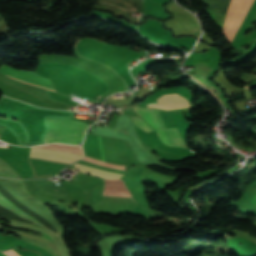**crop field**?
<instances>
[{"label": "crop field", "instance_id": "obj_7", "mask_svg": "<svg viewBox=\"0 0 256 256\" xmlns=\"http://www.w3.org/2000/svg\"><path fill=\"white\" fill-rule=\"evenodd\" d=\"M94 142H95V147L97 152V159L104 161V154L102 151L100 137L94 135ZM94 142H93V135L90 133H87L84 141V154L86 156L96 158Z\"/></svg>", "mask_w": 256, "mask_h": 256}, {"label": "crop field", "instance_id": "obj_9", "mask_svg": "<svg viewBox=\"0 0 256 256\" xmlns=\"http://www.w3.org/2000/svg\"><path fill=\"white\" fill-rule=\"evenodd\" d=\"M105 180L104 191L129 192L121 180ZM103 196L131 198L130 194L103 193Z\"/></svg>", "mask_w": 256, "mask_h": 256}, {"label": "crop field", "instance_id": "obj_12", "mask_svg": "<svg viewBox=\"0 0 256 256\" xmlns=\"http://www.w3.org/2000/svg\"><path fill=\"white\" fill-rule=\"evenodd\" d=\"M249 202H251V203L256 205V195Z\"/></svg>", "mask_w": 256, "mask_h": 256}, {"label": "crop field", "instance_id": "obj_2", "mask_svg": "<svg viewBox=\"0 0 256 256\" xmlns=\"http://www.w3.org/2000/svg\"><path fill=\"white\" fill-rule=\"evenodd\" d=\"M68 120V119H65ZM50 130L46 135L45 143L62 142L79 144L82 142L83 134L89 125L82 122L48 120Z\"/></svg>", "mask_w": 256, "mask_h": 256}, {"label": "crop field", "instance_id": "obj_1", "mask_svg": "<svg viewBox=\"0 0 256 256\" xmlns=\"http://www.w3.org/2000/svg\"><path fill=\"white\" fill-rule=\"evenodd\" d=\"M37 147L63 151L68 153H78L83 155L81 147H78V146H68L64 144H51V145L37 146ZM45 149L32 148L29 159L33 161L68 166L72 162L83 157L77 154H68V153L45 150Z\"/></svg>", "mask_w": 256, "mask_h": 256}, {"label": "crop field", "instance_id": "obj_10", "mask_svg": "<svg viewBox=\"0 0 256 256\" xmlns=\"http://www.w3.org/2000/svg\"><path fill=\"white\" fill-rule=\"evenodd\" d=\"M0 204L10 210H12L13 212L23 216L24 218L26 219H29V220H33V221H36L40 224H42L41 222H39L38 220H36L35 218H33L32 216L24 213L22 210H20L17 206H15L12 202H10L6 197H4L1 193H0ZM20 216V217H21ZM22 217V218H23ZM44 225V224H42Z\"/></svg>", "mask_w": 256, "mask_h": 256}, {"label": "crop field", "instance_id": "obj_6", "mask_svg": "<svg viewBox=\"0 0 256 256\" xmlns=\"http://www.w3.org/2000/svg\"><path fill=\"white\" fill-rule=\"evenodd\" d=\"M1 68L5 69V70H8L10 72H13L17 75H20V76H24V77H28V78H32V79H35V80H39V81H43V82H47V83H51L49 81V79L47 78H43V77H39V76H35V75H32V74H28V73H24V72H21L19 70H16L12 67H9V66H5V65H2ZM0 68V71L3 72V73H6L8 75H11V76H14L16 78H19V79H23V80H26V81H29V82H33V83H37V84H40V85H44V86H48V87H52L53 86L51 84H47V83H43V82H39V81H35V80H32V79H28V78H24V77H20V76H17L15 74H12L8 71H5L3 69ZM22 81V80H21ZM26 81H23L25 83H28V84H32V85H35V86H38V87H41V88H44V89H48V90H51V91H54V89L52 88H48V87H44V86H40V85H37V84H33V83H29V82H26ZM55 92V91H54Z\"/></svg>", "mask_w": 256, "mask_h": 256}, {"label": "crop field", "instance_id": "obj_4", "mask_svg": "<svg viewBox=\"0 0 256 256\" xmlns=\"http://www.w3.org/2000/svg\"><path fill=\"white\" fill-rule=\"evenodd\" d=\"M252 1L253 0H232L228 11L247 13ZM232 12L227 13L223 29V33L230 43L245 16V14L242 13Z\"/></svg>", "mask_w": 256, "mask_h": 256}, {"label": "crop field", "instance_id": "obj_5", "mask_svg": "<svg viewBox=\"0 0 256 256\" xmlns=\"http://www.w3.org/2000/svg\"><path fill=\"white\" fill-rule=\"evenodd\" d=\"M82 161H86V162H90V163H94V164H98V165H102V166H106V167H110V168H115V169H119V170H125V166L122 165H112V164H108L99 160H95L89 157H86L82 159ZM76 169L85 171V172H89L98 176H102V177H106V178H112V179H117L122 177L123 175L120 174H115V173H111V172H107V171H103V170H99L96 168H92V167H88V166H84V165H80L75 163L74 164Z\"/></svg>", "mask_w": 256, "mask_h": 256}, {"label": "crop field", "instance_id": "obj_8", "mask_svg": "<svg viewBox=\"0 0 256 256\" xmlns=\"http://www.w3.org/2000/svg\"><path fill=\"white\" fill-rule=\"evenodd\" d=\"M170 95H177V94H170ZM170 95H165V96H170ZM162 97H164V96H162ZM157 101H158V103H166V102H181V101H188V100L181 95H177V96L159 98V99H157ZM147 106L155 107V108H163L166 110L190 107L189 102L152 104V105H147Z\"/></svg>", "mask_w": 256, "mask_h": 256}, {"label": "crop field", "instance_id": "obj_11", "mask_svg": "<svg viewBox=\"0 0 256 256\" xmlns=\"http://www.w3.org/2000/svg\"><path fill=\"white\" fill-rule=\"evenodd\" d=\"M133 118V117H132ZM134 123L140 127L141 129L149 132L152 131L153 129L146 123L144 122L140 117L139 118H133Z\"/></svg>", "mask_w": 256, "mask_h": 256}, {"label": "crop field", "instance_id": "obj_3", "mask_svg": "<svg viewBox=\"0 0 256 256\" xmlns=\"http://www.w3.org/2000/svg\"><path fill=\"white\" fill-rule=\"evenodd\" d=\"M150 126H152L158 137L161 139V141L166 144V145H170V146H174V147H181V148H187L185 143L183 142L177 128H174V129H169V130H156L157 129H166L158 112L155 111V110H150L151 112V115H152V118L154 120V123H155V126H154V123H153V120L151 118V115H150V112L148 109H142V108H133Z\"/></svg>", "mask_w": 256, "mask_h": 256}]
</instances>
